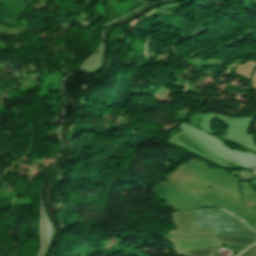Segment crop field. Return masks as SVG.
<instances>
[{
  "instance_id": "3",
  "label": "crop field",
  "mask_w": 256,
  "mask_h": 256,
  "mask_svg": "<svg viewBox=\"0 0 256 256\" xmlns=\"http://www.w3.org/2000/svg\"><path fill=\"white\" fill-rule=\"evenodd\" d=\"M242 256H256V246L246 251Z\"/></svg>"
},
{
  "instance_id": "2",
  "label": "crop field",
  "mask_w": 256,
  "mask_h": 256,
  "mask_svg": "<svg viewBox=\"0 0 256 256\" xmlns=\"http://www.w3.org/2000/svg\"><path fill=\"white\" fill-rule=\"evenodd\" d=\"M213 249H214V247L213 248L202 249V250H197V251H191V252H189V255L190 256H210Z\"/></svg>"
},
{
  "instance_id": "1",
  "label": "crop field",
  "mask_w": 256,
  "mask_h": 256,
  "mask_svg": "<svg viewBox=\"0 0 256 256\" xmlns=\"http://www.w3.org/2000/svg\"><path fill=\"white\" fill-rule=\"evenodd\" d=\"M196 227L216 228L215 236L223 243L249 246L256 241V234L230 214L212 208L195 210Z\"/></svg>"
}]
</instances>
